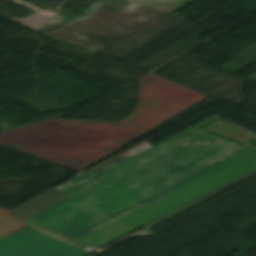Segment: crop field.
I'll return each mask as SVG.
<instances>
[{
  "label": "crop field",
  "instance_id": "5",
  "mask_svg": "<svg viewBox=\"0 0 256 256\" xmlns=\"http://www.w3.org/2000/svg\"><path fill=\"white\" fill-rule=\"evenodd\" d=\"M213 119L221 120V119H223V118H221V117L215 115V116L211 117L210 119L206 120L205 122H203V123H201V124H199V125H197V126L191 128V129H189V130H187V131H185V132H183V133H181V134H179V135H177V136H175V137H177V138H179V139L182 140V139L188 137L189 135L193 134L194 132L198 131V130H199V129H197L198 127L204 125L205 123H207V122H209V121H211V120H213Z\"/></svg>",
  "mask_w": 256,
  "mask_h": 256
},
{
  "label": "crop field",
  "instance_id": "1",
  "mask_svg": "<svg viewBox=\"0 0 256 256\" xmlns=\"http://www.w3.org/2000/svg\"><path fill=\"white\" fill-rule=\"evenodd\" d=\"M244 147L253 150L78 242L98 249L144 225L151 228L256 174V147ZM139 153L134 149L122 153L6 214L71 239L144 199L115 191L118 186L106 182L76 197L64 192Z\"/></svg>",
  "mask_w": 256,
  "mask_h": 256
},
{
  "label": "crop field",
  "instance_id": "2",
  "mask_svg": "<svg viewBox=\"0 0 256 256\" xmlns=\"http://www.w3.org/2000/svg\"><path fill=\"white\" fill-rule=\"evenodd\" d=\"M171 138L66 192L78 195L104 181L150 200L73 238L80 239L250 151L204 132L179 143Z\"/></svg>",
  "mask_w": 256,
  "mask_h": 256
},
{
  "label": "crop field",
  "instance_id": "3",
  "mask_svg": "<svg viewBox=\"0 0 256 256\" xmlns=\"http://www.w3.org/2000/svg\"><path fill=\"white\" fill-rule=\"evenodd\" d=\"M88 254L29 227L0 241V256H86Z\"/></svg>",
  "mask_w": 256,
  "mask_h": 256
},
{
  "label": "crop field",
  "instance_id": "4",
  "mask_svg": "<svg viewBox=\"0 0 256 256\" xmlns=\"http://www.w3.org/2000/svg\"><path fill=\"white\" fill-rule=\"evenodd\" d=\"M27 226H29V227H31L33 229H36V230H38L40 232H43V233H45V234H47L49 236H52V237H54L56 239H59V240H61L63 242H66L68 244L76 246V247H78L80 249L88 251L90 253L95 251V250H97V249L91 248L89 246L83 245L81 243H78L76 241H73V240H70L68 238H65L63 236H60V235H57L55 233L49 232V231L44 230L42 228L36 227V226L31 225L29 223L23 222V221L18 220L16 218L10 217V216L5 215V214L0 212V240L10 236L11 234H13V233H15V232H17V231L27 227Z\"/></svg>",
  "mask_w": 256,
  "mask_h": 256
}]
</instances>
